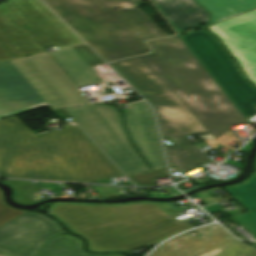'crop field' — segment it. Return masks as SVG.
<instances>
[{
    "instance_id": "obj_1",
    "label": "crop field",
    "mask_w": 256,
    "mask_h": 256,
    "mask_svg": "<svg viewBox=\"0 0 256 256\" xmlns=\"http://www.w3.org/2000/svg\"><path fill=\"white\" fill-rule=\"evenodd\" d=\"M0 172L76 182L122 175L77 126L37 137L15 116L0 121Z\"/></svg>"
},
{
    "instance_id": "obj_17",
    "label": "crop field",
    "mask_w": 256,
    "mask_h": 256,
    "mask_svg": "<svg viewBox=\"0 0 256 256\" xmlns=\"http://www.w3.org/2000/svg\"><path fill=\"white\" fill-rule=\"evenodd\" d=\"M211 14L210 24L256 9V0H197Z\"/></svg>"
},
{
    "instance_id": "obj_24",
    "label": "crop field",
    "mask_w": 256,
    "mask_h": 256,
    "mask_svg": "<svg viewBox=\"0 0 256 256\" xmlns=\"http://www.w3.org/2000/svg\"><path fill=\"white\" fill-rule=\"evenodd\" d=\"M255 244H256V242H255Z\"/></svg>"
},
{
    "instance_id": "obj_19",
    "label": "crop field",
    "mask_w": 256,
    "mask_h": 256,
    "mask_svg": "<svg viewBox=\"0 0 256 256\" xmlns=\"http://www.w3.org/2000/svg\"><path fill=\"white\" fill-rule=\"evenodd\" d=\"M168 176L167 169L157 170L150 173L130 176L138 186H150L154 185V177Z\"/></svg>"
},
{
    "instance_id": "obj_6",
    "label": "crop field",
    "mask_w": 256,
    "mask_h": 256,
    "mask_svg": "<svg viewBox=\"0 0 256 256\" xmlns=\"http://www.w3.org/2000/svg\"><path fill=\"white\" fill-rule=\"evenodd\" d=\"M108 64L154 107L161 135L171 137L176 142L164 147L170 167L177 166L185 173L209 161L184 137L208 131L137 57Z\"/></svg>"
},
{
    "instance_id": "obj_15",
    "label": "crop field",
    "mask_w": 256,
    "mask_h": 256,
    "mask_svg": "<svg viewBox=\"0 0 256 256\" xmlns=\"http://www.w3.org/2000/svg\"><path fill=\"white\" fill-rule=\"evenodd\" d=\"M176 32L207 23L209 13L195 0H151Z\"/></svg>"
},
{
    "instance_id": "obj_5",
    "label": "crop field",
    "mask_w": 256,
    "mask_h": 256,
    "mask_svg": "<svg viewBox=\"0 0 256 256\" xmlns=\"http://www.w3.org/2000/svg\"><path fill=\"white\" fill-rule=\"evenodd\" d=\"M89 103L45 52L0 62V120L48 105Z\"/></svg>"
},
{
    "instance_id": "obj_20",
    "label": "crop field",
    "mask_w": 256,
    "mask_h": 256,
    "mask_svg": "<svg viewBox=\"0 0 256 256\" xmlns=\"http://www.w3.org/2000/svg\"><path fill=\"white\" fill-rule=\"evenodd\" d=\"M136 203H157V202H150V201H135V202H128V203H121V204H86V203H71V202H59V203H53L49 210H53L55 205L57 204H77V205H99V206H122V205H130V204H136ZM166 204H170V202H165ZM53 216L57 217L68 229L75 232L70 226L66 224L62 219H60L53 211L50 212ZM76 233V232H75ZM78 234V233H77ZM80 235V234H79ZM82 236V235H81ZM84 237V236H83ZM85 238V237H84ZM88 242V249L91 250V243L88 239H86ZM148 246V245H147ZM144 247V246H143ZM140 248V247H139ZM136 249V248H135ZM132 250V249H131ZM128 251V250H127Z\"/></svg>"
},
{
    "instance_id": "obj_12",
    "label": "crop field",
    "mask_w": 256,
    "mask_h": 256,
    "mask_svg": "<svg viewBox=\"0 0 256 256\" xmlns=\"http://www.w3.org/2000/svg\"><path fill=\"white\" fill-rule=\"evenodd\" d=\"M256 85V10L208 27Z\"/></svg>"
},
{
    "instance_id": "obj_18",
    "label": "crop field",
    "mask_w": 256,
    "mask_h": 256,
    "mask_svg": "<svg viewBox=\"0 0 256 256\" xmlns=\"http://www.w3.org/2000/svg\"><path fill=\"white\" fill-rule=\"evenodd\" d=\"M37 256H123V255H88L81 250V242L73 236H57L44 246Z\"/></svg>"
},
{
    "instance_id": "obj_21",
    "label": "crop field",
    "mask_w": 256,
    "mask_h": 256,
    "mask_svg": "<svg viewBox=\"0 0 256 256\" xmlns=\"http://www.w3.org/2000/svg\"><path fill=\"white\" fill-rule=\"evenodd\" d=\"M24 211L13 209L7 205H5L2 201L1 193H0V225L5 222L11 220L12 218L18 216Z\"/></svg>"
},
{
    "instance_id": "obj_14",
    "label": "crop field",
    "mask_w": 256,
    "mask_h": 256,
    "mask_svg": "<svg viewBox=\"0 0 256 256\" xmlns=\"http://www.w3.org/2000/svg\"><path fill=\"white\" fill-rule=\"evenodd\" d=\"M77 88L102 82L90 68L102 61L85 45L48 53Z\"/></svg>"
},
{
    "instance_id": "obj_22",
    "label": "crop field",
    "mask_w": 256,
    "mask_h": 256,
    "mask_svg": "<svg viewBox=\"0 0 256 256\" xmlns=\"http://www.w3.org/2000/svg\"><path fill=\"white\" fill-rule=\"evenodd\" d=\"M216 141L219 142L222 146L231 150H236V148L227 145L229 142L233 141V142L242 144L231 130L225 133L224 135L220 136L219 138H217Z\"/></svg>"
},
{
    "instance_id": "obj_3",
    "label": "crop field",
    "mask_w": 256,
    "mask_h": 256,
    "mask_svg": "<svg viewBox=\"0 0 256 256\" xmlns=\"http://www.w3.org/2000/svg\"><path fill=\"white\" fill-rule=\"evenodd\" d=\"M92 242L93 250H127L180 233L191 226L170 217L172 205L136 204L122 207L58 205L53 210Z\"/></svg>"
},
{
    "instance_id": "obj_9",
    "label": "crop field",
    "mask_w": 256,
    "mask_h": 256,
    "mask_svg": "<svg viewBox=\"0 0 256 256\" xmlns=\"http://www.w3.org/2000/svg\"><path fill=\"white\" fill-rule=\"evenodd\" d=\"M179 38L244 118L255 115L256 108L251 105L256 103V89L244 80L220 43L205 30Z\"/></svg>"
},
{
    "instance_id": "obj_2",
    "label": "crop field",
    "mask_w": 256,
    "mask_h": 256,
    "mask_svg": "<svg viewBox=\"0 0 256 256\" xmlns=\"http://www.w3.org/2000/svg\"><path fill=\"white\" fill-rule=\"evenodd\" d=\"M43 1L106 62L146 53L144 40L166 35L138 0Z\"/></svg>"
},
{
    "instance_id": "obj_4",
    "label": "crop field",
    "mask_w": 256,
    "mask_h": 256,
    "mask_svg": "<svg viewBox=\"0 0 256 256\" xmlns=\"http://www.w3.org/2000/svg\"><path fill=\"white\" fill-rule=\"evenodd\" d=\"M138 58L163 81L216 139L228 126L247 122L177 36L148 41Z\"/></svg>"
},
{
    "instance_id": "obj_13",
    "label": "crop field",
    "mask_w": 256,
    "mask_h": 256,
    "mask_svg": "<svg viewBox=\"0 0 256 256\" xmlns=\"http://www.w3.org/2000/svg\"><path fill=\"white\" fill-rule=\"evenodd\" d=\"M124 117L132 142L152 170L166 168L149 106L144 101L131 104Z\"/></svg>"
},
{
    "instance_id": "obj_10",
    "label": "crop field",
    "mask_w": 256,
    "mask_h": 256,
    "mask_svg": "<svg viewBox=\"0 0 256 256\" xmlns=\"http://www.w3.org/2000/svg\"><path fill=\"white\" fill-rule=\"evenodd\" d=\"M195 231L201 236L185 232L162 245L152 256H256V248L237 241L219 225Z\"/></svg>"
},
{
    "instance_id": "obj_11",
    "label": "crop field",
    "mask_w": 256,
    "mask_h": 256,
    "mask_svg": "<svg viewBox=\"0 0 256 256\" xmlns=\"http://www.w3.org/2000/svg\"><path fill=\"white\" fill-rule=\"evenodd\" d=\"M61 233L53 220L25 212L0 226V250L14 256H33L48 238Z\"/></svg>"
},
{
    "instance_id": "obj_16",
    "label": "crop field",
    "mask_w": 256,
    "mask_h": 256,
    "mask_svg": "<svg viewBox=\"0 0 256 256\" xmlns=\"http://www.w3.org/2000/svg\"><path fill=\"white\" fill-rule=\"evenodd\" d=\"M225 189L249 211L232 218L256 237V172L247 181Z\"/></svg>"
},
{
    "instance_id": "obj_7",
    "label": "crop field",
    "mask_w": 256,
    "mask_h": 256,
    "mask_svg": "<svg viewBox=\"0 0 256 256\" xmlns=\"http://www.w3.org/2000/svg\"><path fill=\"white\" fill-rule=\"evenodd\" d=\"M39 0H7L0 4V61L81 43Z\"/></svg>"
},
{
    "instance_id": "obj_8",
    "label": "crop field",
    "mask_w": 256,
    "mask_h": 256,
    "mask_svg": "<svg viewBox=\"0 0 256 256\" xmlns=\"http://www.w3.org/2000/svg\"><path fill=\"white\" fill-rule=\"evenodd\" d=\"M54 112L59 117L71 116L127 175L150 170L128 142L114 107L98 104Z\"/></svg>"
},
{
    "instance_id": "obj_23",
    "label": "crop field",
    "mask_w": 256,
    "mask_h": 256,
    "mask_svg": "<svg viewBox=\"0 0 256 256\" xmlns=\"http://www.w3.org/2000/svg\"><path fill=\"white\" fill-rule=\"evenodd\" d=\"M206 211H208L210 214L212 213H216V212H219V211H223L219 206L217 205H212V206H209V207H205L204 208Z\"/></svg>"
}]
</instances>
